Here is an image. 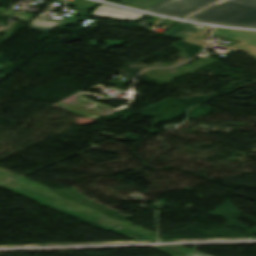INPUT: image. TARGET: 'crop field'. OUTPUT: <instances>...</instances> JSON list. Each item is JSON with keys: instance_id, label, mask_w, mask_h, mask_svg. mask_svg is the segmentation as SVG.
I'll use <instances>...</instances> for the list:
<instances>
[{"instance_id": "7", "label": "crop field", "mask_w": 256, "mask_h": 256, "mask_svg": "<svg viewBox=\"0 0 256 256\" xmlns=\"http://www.w3.org/2000/svg\"><path fill=\"white\" fill-rule=\"evenodd\" d=\"M66 4L74 6L76 8L85 9V10L91 9L96 5H98V3H94L86 0H73V2L67 1Z\"/></svg>"}, {"instance_id": "10", "label": "crop field", "mask_w": 256, "mask_h": 256, "mask_svg": "<svg viewBox=\"0 0 256 256\" xmlns=\"http://www.w3.org/2000/svg\"><path fill=\"white\" fill-rule=\"evenodd\" d=\"M191 256H207V255H204V254H202V253H197V254H193V255H191Z\"/></svg>"}, {"instance_id": "8", "label": "crop field", "mask_w": 256, "mask_h": 256, "mask_svg": "<svg viewBox=\"0 0 256 256\" xmlns=\"http://www.w3.org/2000/svg\"><path fill=\"white\" fill-rule=\"evenodd\" d=\"M123 1L146 9L149 6L153 5L154 3L158 2L159 0H123Z\"/></svg>"}, {"instance_id": "6", "label": "crop field", "mask_w": 256, "mask_h": 256, "mask_svg": "<svg viewBox=\"0 0 256 256\" xmlns=\"http://www.w3.org/2000/svg\"><path fill=\"white\" fill-rule=\"evenodd\" d=\"M211 27H207L199 32L194 33L192 36L183 40V42L204 46L207 36L209 34Z\"/></svg>"}, {"instance_id": "3", "label": "crop field", "mask_w": 256, "mask_h": 256, "mask_svg": "<svg viewBox=\"0 0 256 256\" xmlns=\"http://www.w3.org/2000/svg\"><path fill=\"white\" fill-rule=\"evenodd\" d=\"M213 36H223L241 41V43L231 49L239 51L245 50L247 53L256 58V32L234 31L215 28Z\"/></svg>"}, {"instance_id": "5", "label": "crop field", "mask_w": 256, "mask_h": 256, "mask_svg": "<svg viewBox=\"0 0 256 256\" xmlns=\"http://www.w3.org/2000/svg\"><path fill=\"white\" fill-rule=\"evenodd\" d=\"M205 26H200V25H188L183 22L177 24L173 28H171L169 31H167L164 36H169V37H175L182 39L184 37L189 36L190 34L204 28Z\"/></svg>"}, {"instance_id": "4", "label": "crop field", "mask_w": 256, "mask_h": 256, "mask_svg": "<svg viewBox=\"0 0 256 256\" xmlns=\"http://www.w3.org/2000/svg\"><path fill=\"white\" fill-rule=\"evenodd\" d=\"M92 16L120 19V20L130 19V20L137 21L140 18L144 17L145 14L102 5L94 11Z\"/></svg>"}, {"instance_id": "9", "label": "crop field", "mask_w": 256, "mask_h": 256, "mask_svg": "<svg viewBox=\"0 0 256 256\" xmlns=\"http://www.w3.org/2000/svg\"><path fill=\"white\" fill-rule=\"evenodd\" d=\"M84 12H85V11L80 10L77 15H79V14H81V13H84ZM77 15L74 16V17L68 18V19H63L64 21L62 22V25H68V24H70V23H73L74 20H75V18L77 17Z\"/></svg>"}, {"instance_id": "2", "label": "crop field", "mask_w": 256, "mask_h": 256, "mask_svg": "<svg viewBox=\"0 0 256 256\" xmlns=\"http://www.w3.org/2000/svg\"><path fill=\"white\" fill-rule=\"evenodd\" d=\"M214 1L216 0H161L147 10L184 18Z\"/></svg>"}, {"instance_id": "1", "label": "crop field", "mask_w": 256, "mask_h": 256, "mask_svg": "<svg viewBox=\"0 0 256 256\" xmlns=\"http://www.w3.org/2000/svg\"><path fill=\"white\" fill-rule=\"evenodd\" d=\"M188 19L256 28V0H221Z\"/></svg>"}]
</instances>
